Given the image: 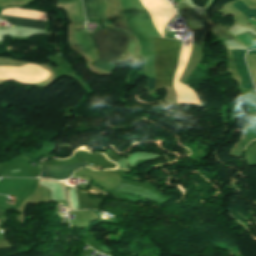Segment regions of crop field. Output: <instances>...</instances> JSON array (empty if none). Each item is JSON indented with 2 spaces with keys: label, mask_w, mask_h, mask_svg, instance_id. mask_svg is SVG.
I'll use <instances>...</instances> for the list:
<instances>
[{
  "label": "crop field",
  "mask_w": 256,
  "mask_h": 256,
  "mask_svg": "<svg viewBox=\"0 0 256 256\" xmlns=\"http://www.w3.org/2000/svg\"><path fill=\"white\" fill-rule=\"evenodd\" d=\"M155 44V71L157 80L155 88L173 86L178 56V41L154 38ZM156 78L149 77L148 89H154Z\"/></svg>",
  "instance_id": "8a807250"
},
{
  "label": "crop field",
  "mask_w": 256,
  "mask_h": 256,
  "mask_svg": "<svg viewBox=\"0 0 256 256\" xmlns=\"http://www.w3.org/2000/svg\"><path fill=\"white\" fill-rule=\"evenodd\" d=\"M3 16L5 17L7 22H9L10 24L32 26V27L45 29L46 22H43V21L30 20V19H24V18H18V17L5 16V15Z\"/></svg>",
  "instance_id": "dd49c442"
},
{
  "label": "crop field",
  "mask_w": 256,
  "mask_h": 256,
  "mask_svg": "<svg viewBox=\"0 0 256 256\" xmlns=\"http://www.w3.org/2000/svg\"><path fill=\"white\" fill-rule=\"evenodd\" d=\"M250 35H252L255 39H256V35H254V34H252V33H250V32H248Z\"/></svg>",
  "instance_id": "5a996713"
},
{
  "label": "crop field",
  "mask_w": 256,
  "mask_h": 256,
  "mask_svg": "<svg viewBox=\"0 0 256 256\" xmlns=\"http://www.w3.org/2000/svg\"><path fill=\"white\" fill-rule=\"evenodd\" d=\"M93 65L102 68L110 73H112L113 69L115 68L116 65L114 64H110V63H103V62H97V63H93Z\"/></svg>",
  "instance_id": "d8731c3e"
},
{
  "label": "crop field",
  "mask_w": 256,
  "mask_h": 256,
  "mask_svg": "<svg viewBox=\"0 0 256 256\" xmlns=\"http://www.w3.org/2000/svg\"><path fill=\"white\" fill-rule=\"evenodd\" d=\"M92 35L98 47V60L118 64L121 54L127 47V35L124 32L109 29H100Z\"/></svg>",
  "instance_id": "ac0d7876"
},
{
  "label": "crop field",
  "mask_w": 256,
  "mask_h": 256,
  "mask_svg": "<svg viewBox=\"0 0 256 256\" xmlns=\"http://www.w3.org/2000/svg\"><path fill=\"white\" fill-rule=\"evenodd\" d=\"M87 19H100L101 25L106 27V0H83Z\"/></svg>",
  "instance_id": "412701ff"
},
{
  "label": "crop field",
  "mask_w": 256,
  "mask_h": 256,
  "mask_svg": "<svg viewBox=\"0 0 256 256\" xmlns=\"http://www.w3.org/2000/svg\"><path fill=\"white\" fill-rule=\"evenodd\" d=\"M231 52L235 60L237 71L242 79L241 86L254 90L247 67H246V63L244 60V54L246 51H231Z\"/></svg>",
  "instance_id": "f4fd0767"
},
{
  "label": "crop field",
  "mask_w": 256,
  "mask_h": 256,
  "mask_svg": "<svg viewBox=\"0 0 256 256\" xmlns=\"http://www.w3.org/2000/svg\"><path fill=\"white\" fill-rule=\"evenodd\" d=\"M84 166H87L86 162L70 165V166L44 167L42 169L41 178L64 180L69 178L76 169Z\"/></svg>",
  "instance_id": "34b2d1b8"
},
{
  "label": "crop field",
  "mask_w": 256,
  "mask_h": 256,
  "mask_svg": "<svg viewBox=\"0 0 256 256\" xmlns=\"http://www.w3.org/2000/svg\"><path fill=\"white\" fill-rule=\"evenodd\" d=\"M232 5L239 11L243 12L247 18L255 17L256 20V9L250 10L242 1H237Z\"/></svg>",
  "instance_id": "e52e79f7"
}]
</instances>
